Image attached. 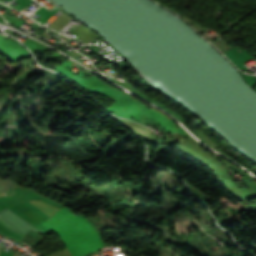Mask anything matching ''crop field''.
I'll return each mask as SVG.
<instances>
[{
	"instance_id": "obj_3",
	"label": "crop field",
	"mask_w": 256,
	"mask_h": 256,
	"mask_svg": "<svg viewBox=\"0 0 256 256\" xmlns=\"http://www.w3.org/2000/svg\"><path fill=\"white\" fill-rule=\"evenodd\" d=\"M144 118V117H143ZM144 119H146V118H144ZM147 120V119H146Z\"/></svg>"
},
{
	"instance_id": "obj_2",
	"label": "crop field",
	"mask_w": 256,
	"mask_h": 256,
	"mask_svg": "<svg viewBox=\"0 0 256 256\" xmlns=\"http://www.w3.org/2000/svg\"><path fill=\"white\" fill-rule=\"evenodd\" d=\"M136 119H138V120H140V121H142V122H145L143 119H141V118H139V117H138V118H136Z\"/></svg>"
},
{
	"instance_id": "obj_4",
	"label": "crop field",
	"mask_w": 256,
	"mask_h": 256,
	"mask_svg": "<svg viewBox=\"0 0 256 256\" xmlns=\"http://www.w3.org/2000/svg\"><path fill=\"white\" fill-rule=\"evenodd\" d=\"M165 134V133H164Z\"/></svg>"
},
{
	"instance_id": "obj_1",
	"label": "crop field",
	"mask_w": 256,
	"mask_h": 256,
	"mask_svg": "<svg viewBox=\"0 0 256 256\" xmlns=\"http://www.w3.org/2000/svg\"><path fill=\"white\" fill-rule=\"evenodd\" d=\"M65 209L62 208L43 224L53 229L72 256L86 255L101 248L93 232L85 223Z\"/></svg>"
}]
</instances>
